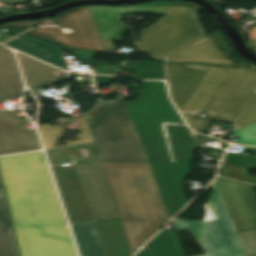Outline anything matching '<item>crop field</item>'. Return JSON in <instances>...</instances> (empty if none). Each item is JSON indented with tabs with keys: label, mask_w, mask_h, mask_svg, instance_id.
I'll use <instances>...</instances> for the list:
<instances>
[{
	"label": "crop field",
	"mask_w": 256,
	"mask_h": 256,
	"mask_svg": "<svg viewBox=\"0 0 256 256\" xmlns=\"http://www.w3.org/2000/svg\"><path fill=\"white\" fill-rule=\"evenodd\" d=\"M20 256H77L42 152L0 157Z\"/></svg>",
	"instance_id": "1"
},
{
	"label": "crop field",
	"mask_w": 256,
	"mask_h": 256,
	"mask_svg": "<svg viewBox=\"0 0 256 256\" xmlns=\"http://www.w3.org/2000/svg\"><path fill=\"white\" fill-rule=\"evenodd\" d=\"M136 125L170 218L185 204L183 182L191 172L194 132L167 99L163 82L144 81L139 102L125 101ZM132 120V121H133ZM166 123L174 161L163 128Z\"/></svg>",
	"instance_id": "2"
},
{
	"label": "crop field",
	"mask_w": 256,
	"mask_h": 256,
	"mask_svg": "<svg viewBox=\"0 0 256 256\" xmlns=\"http://www.w3.org/2000/svg\"><path fill=\"white\" fill-rule=\"evenodd\" d=\"M132 253L169 219L148 163H100Z\"/></svg>",
	"instance_id": "3"
},
{
	"label": "crop field",
	"mask_w": 256,
	"mask_h": 256,
	"mask_svg": "<svg viewBox=\"0 0 256 256\" xmlns=\"http://www.w3.org/2000/svg\"><path fill=\"white\" fill-rule=\"evenodd\" d=\"M75 163L52 167L71 223L119 217L98 159Z\"/></svg>",
	"instance_id": "4"
},
{
	"label": "crop field",
	"mask_w": 256,
	"mask_h": 256,
	"mask_svg": "<svg viewBox=\"0 0 256 256\" xmlns=\"http://www.w3.org/2000/svg\"><path fill=\"white\" fill-rule=\"evenodd\" d=\"M109 104L86 115L100 162H148L125 102Z\"/></svg>",
	"instance_id": "5"
},
{
	"label": "crop field",
	"mask_w": 256,
	"mask_h": 256,
	"mask_svg": "<svg viewBox=\"0 0 256 256\" xmlns=\"http://www.w3.org/2000/svg\"><path fill=\"white\" fill-rule=\"evenodd\" d=\"M201 9L190 2H171L162 19L140 34V49L152 57L167 60L176 49L205 37L198 20Z\"/></svg>",
	"instance_id": "6"
},
{
	"label": "crop field",
	"mask_w": 256,
	"mask_h": 256,
	"mask_svg": "<svg viewBox=\"0 0 256 256\" xmlns=\"http://www.w3.org/2000/svg\"><path fill=\"white\" fill-rule=\"evenodd\" d=\"M233 66L167 63L171 97L180 111L204 110Z\"/></svg>",
	"instance_id": "7"
},
{
	"label": "crop field",
	"mask_w": 256,
	"mask_h": 256,
	"mask_svg": "<svg viewBox=\"0 0 256 256\" xmlns=\"http://www.w3.org/2000/svg\"><path fill=\"white\" fill-rule=\"evenodd\" d=\"M207 205L216 216L212 221H172L175 230L191 229L209 256H245L218 186Z\"/></svg>",
	"instance_id": "8"
},
{
	"label": "crop field",
	"mask_w": 256,
	"mask_h": 256,
	"mask_svg": "<svg viewBox=\"0 0 256 256\" xmlns=\"http://www.w3.org/2000/svg\"><path fill=\"white\" fill-rule=\"evenodd\" d=\"M256 85V70L234 66L227 79L205 108L214 113L208 119H195L198 115L182 113L191 128L208 132L212 119L232 123Z\"/></svg>",
	"instance_id": "9"
},
{
	"label": "crop field",
	"mask_w": 256,
	"mask_h": 256,
	"mask_svg": "<svg viewBox=\"0 0 256 256\" xmlns=\"http://www.w3.org/2000/svg\"><path fill=\"white\" fill-rule=\"evenodd\" d=\"M54 21L62 26L41 27L23 35L47 41L71 53L70 47L105 52L88 6L78 7L58 14ZM72 30L70 33L64 32Z\"/></svg>",
	"instance_id": "10"
},
{
	"label": "crop field",
	"mask_w": 256,
	"mask_h": 256,
	"mask_svg": "<svg viewBox=\"0 0 256 256\" xmlns=\"http://www.w3.org/2000/svg\"><path fill=\"white\" fill-rule=\"evenodd\" d=\"M81 256H131L119 219L71 225Z\"/></svg>",
	"instance_id": "11"
},
{
	"label": "crop field",
	"mask_w": 256,
	"mask_h": 256,
	"mask_svg": "<svg viewBox=\"0 0 256 256\" xmlns=\"http://www.w3.org/2000/svg\"><path fill=\"white\" fill-rule=\"evenodd\" d=\"M237 233L256 230V202L252 186L217 178Z\"/></svg>",
	"instance_id": "12"
},
{
	"label": "crop field",
	"mask_w": 256,
	"mask_h": 256,
	"mask_svg": "<svg viewBox=\"0 0 256 256\" xmlns=\"http://www.w3.org/2000/svg\"><path fill=\"white\" fill-rule=\"evenodd\" d=\"M27 123L13 110H0V155L41 148L36 131L24 127Z\"/></svg>",
	"instance_id": "13"
},
{
	"label": "crop field",
	"mask_w": 256,
	"mask_h": 256,
	"mask_svg": "<svg viewBox=\"0 0 256 256\" xmlns=\"http://www.w3.org/2000/svg\"><path fill=\"white\" fill-rule=\"evenodd\" d=\"M170 61L177 63L234 65L221 54L208 37L177 50Z\"/></svg>",
	"instance_id": "14"
},
{
	"label": "crop field",
	"mask_w": 256,
	"mask_h": 256,
	"mask_svg": "<svg viewBox=\"0 0 256 256\" xmlns=\"http://www.w3.org/2000/svg\"><path fill=\"white\" fill-rule=\"evenodd\" d=\"M102 39L122 41L127 31L126 23L121 22L127 13L126 7L89 6Z\"/></svg>",
	"instance_id": "15"
},
{
	"label": "crop field",
	"mask_w": 256,
	"mask_h": 256,
	"mask_svg": "<svg viewBox=\"0 0 256 256\" xmlns=\"http://www.w3.org/2000/svg\"><path fill=\"white\" fill-rule=\"evenodd\" d=\"M22 94V79L13 53H0V102L20 98Z\"/></svg>",
	"instance_id": "16"
},
{
	"label": "crop field",
	"mask_w": 256,
	"mask_h": 256,
	"mask_svg": "<svg viewBox=\"0 0 256 256\" xmlns=\"http://www.w3.org/2000/svg\"><path fill=\"white\" fill-rule=\"evenodd\" d=\"M4 44L66 70L58 63L55 47L45 42L20 35Z\"/></svg>",
	"instance_id": "17"
},
{
	"label": "crop field",
	"mask_w": 256,
	"mask_h": 256,
	"mask_svg": "<svg viewBox=\"0 0 256 256\" xmlns=\"http://www.w3.org/2000/svg\"><path fill=\"white\" fill-rule=\"evenodd\" d=\"M0 256H18L2 186H0Z\"/></svg>",
	"instance_id": "18"
},
{
	"label": "crop field",
	"mask_w": 256,
	"mask_h": 256,
	"mask_svg": "<svg viewBox=\"0 0 256 256\" xmlns=\"http://www.w3.org/2000/svg\"><path fill=\"white\" fill-rule=\"evenodd\" d=\"M146 247L184 254L175 232L162 230Z\"/></svg>",
	"instance_id": "19"
},
{
	"label": "crop field",
	"mask_w": 256,
	"mask_h": 256,
	"mask_svg": "<svg viewBox=\"0 0 256 256\" xmlns=\"http://www.w3.org/2000/svg\"><path fill=\"white\" fill-rule=\"evenodd\" d=\"M256 122V93L252 92L249 99L241 109L240 113L234 120L236 125L233 131L248 126ZM232 131V132H233Z\"/></svg>",
	"instance_id": "20"
},
{
	"label": "crop field",
	"mask_w": 256,
	"mask_h": 256,
	"mask_svg": "<svg viewBox=\"0 0 256 256\" xmlns=\"http://www.w3.org/2000/svg\"><path fill=\"white\" fill-rule=\"evenodd\" d=\"M169 1H155L139 4L137 6H128V13H157L163 15L169 5Z\"/></svg>",
	"instance_id": "21"
},
{
	"label": "crop field",
	"mask_w": 256,
	"mask_h": 256,
	"mask_svg": "<svg viewBox=\"0 0 256 256\" xmlns=\"http://www.w3.org/2000/svg\"><path fill=\"white\" fill-rule=\"evenodd\" d=\"M221 175L224 177H229L236 180L256 184V178L248 175L247 170L229 166L225 158L223 160L222 167H221Z\"/></svg>",
	"instance_id": "22"
},
{
	"label": "crop field",
	"mask_w": 256,
	"mask_h": 256,
	"mask_svg": "<svg viewBox=\"0 0 256 256\" xmlns=\"http://www.w3.org/2000/svg\"><path fill=\"white\" fill-rule=\"evenodd\" d=\"M246 256L256 255V231L237 234Z\"/></svg>",
	"instance_id": "23"
},
{
	"label": "crop field",
	"mask_w": 256,
	"mask_h": 256,
	"mask_svg": "<svg viewBox=\"0 0 256 256\" xmlns=\"http://www.w3.org/2000/svg\"><path fill=\"white\" fill-rule=\"evenodd\" d=\"M233 134L240 137L235 143L256 146V123L235 131Z\"/></svg>",
	"instance_id": "24"
},
{
	"label": "crop field",
	"mask_w": 256,
	"mask_h": 256,
	"mask_svg": "<svg viewBox=\"0 0 256 256\" xmlns=\"http://www.w3.org/2000/svg\"><path fill=\"white\" fill-rule=\"evenodd\" d=\"M225 157L230 165L247 169V170L253 158L250 156H242L237 154H226Z\"/></svg>",
	"instance_id": "25"
},
{
	"label": "crop field",
	"mask_w": 256,
	"mask_h": 256,
	"mask_svg": "<svg viewBox=\"0 0 256 256\" xmlns=\"http://www.w3.org/2000/svg\"><path fill=\"white\" fill-rule=\"evenodd\" d=\"M0 27L6 28L16 33H20L22 31L32 28V25L28 21H21V22L7 23Z\"/></svg>",
	"instance_id": "26"
},
{
	"label": "crop field",
	"mask_w": 256,
	"mask_h": 256,
	"mask_svg": "<svg viewBox=\"0 0 256 256\" xmlns=\"http://www.w3.org/2000/svg\"><path fill=\"white\" fill-rule=\"evenodd\" d=\"M136 256H184V255L144 247Z\"/></svg>",
	"instance_id": "27"
},
{
	"label": "crop field",
	"mask_w": 256,
	"mask_h": 256,
	"mask_svg": "<svg viewBox=\"0 0 256 256\" xmlns=\"http://www.w3.org/2000/svg\"><path fill=\"white\" fill-rule=\"evenodd\" d=\"M0 1L7 5H18V4L26 3L25 0H0Z\"/></svg>",
	"instance_id": "28"
},
{
	"label": "crop field",
	"mask_w": 256,
	"mask_h": 256,
	"mask_svg": "<svg viewBox=\"0 0 256 256\" xmlns=\"http://www.w3.org/2000/svg\"><path fill=\"white\" fill-rule=\"evenodd\" d=\"M215 216L212 214V212L210 211V209L207 206V216H206V220H212L214 219Z\"/></svg>",
	"instance_id": "29"
},
{
	"label": "crop field",
	"mask_w": 256,
	"mask_h": 256,
	"mask_svg": "<svg viewBox=\"0 0 256 256\" xmlns=\"http://www.w3.org/2000/svg\"><path fill=\"white\" fill-rule=\"evenodd\" d=\"M56 49H57V54H58V60H59V62L62 63V64H64V61H63V59H62V56H61V53H60L59 49H58V48H56ZM64 65H65V64H64Z\"/></svg>",
	"instance_id": "30"
},
{
	"label": "crop field",
	"mask_w": 256,
	"mask_h": 256,
	"mask_svg": "<svg viewBox=\"0 0 256 256\" xmlns=\"http://www.w3.org/2000/svg\"><path fill=\"white\" fill-rule=\"evenodd\" d=\"M245 151L256 154V149L255 148H246Z\"/></svg>",
	"instance_id": "31"
},
{
	"label": "crop field",
	"mask_w": 256,
	"mask_h": 256,
	"mask_svg": "<svg viewBox=\"0 0 256 256\" xmlns=\"http://www.w3.org/2000/svg\"><path fill=\"white\" fill-rule=\"evenodd\" d=\"M3 51H8V49H6V48L0 46V52H3Z\"/></svg>",
	"instance_id": "32"
},
{
	"label": "crop field",
	"mask_w": 256,
	"mask_h": 256,
	"mask_svg": "<svg viewBox=\"0 0 256 256\" xmlns=\"http://www.w3.org/2000/svg\"><path fill=\"white\" fill-rule=\"evenodd\" d=\"M217 185V181L215 180V182L213 183V188Z\"/></svg>",
	"instance_id": "33"
},
{
	"label": "crop field",
	"mask_w": 256,
	"mask_h": 256,
	"mask_svg": "<svg viewBox=\"0 0 256 256\" xmlns=\"http://www.w3.org/2000/svg\"><path fill=\"white\" fill-rule=\"evenodd\" d=\"M201 111L195 110L194 113L200 114Z\"/></svg>",
	"instance_id": "34"
},
{
	"label": "crop field",
	"mask_w": 256,
	"mask_h": 256,
	"mask_svg": "<svg viewBox=\"0 0 256 256\" xmlns=\"http://www.w3.org/2000/svg\"><path fill=\"white\" fill-rule=\"evenodd\" d=\"M221 145H226V146H228V144H227V143H225V142H223Z\"/></svg>",
	"instance_id": "35"
},
{
	"label": "crop field",
	"mask_w": 256,
	"mask_h": 256,
	"mask_svg": "<svg viewBox=\"0 0 256 256\" xmlns=\"http://www.w3.org/2000/svg\"><path fill=\"white\" fill-rule=\"evenodd\" d=\"M0 184H3V183H2V180H1V176H0Z\"/></svg>",
	"instance_id": "36"
},
{
	"label": "crop field",
	"mask_w": 256,
	"mask_h": 256,
	"mask_svg": "<svg viewBox=\"0 0 256 256\" xmlns=\"http://www.w3.org/2000/svg\"><path fill=\"white\" fill-rule=\"evenodd\" d=\"M165 128V127H164ZM165 132H166V129H165ZM166 135H167V133H166ZM167 139H168V137H167ZM169 142V141H168ZM170 146V145H169ZM171 150V149H170ZM172 154V153H171Z\"/></svg>",
	"instance_id": "37"
},
{
	"label": "crop field",
	"mask_w": 256,
	"mask_h": 256,
	"mask_svg": "<svg viewBox=\"0 0 256 256\" xmlns=\"http://www.w3.org/2000/svg\"><path fill=\"white\" fill-rule=\"evenodd\" d=\"M254 92H256V87H255V89H254Z\"/></svg>",
	"instance_id": "38"
},
{
	"label": "crop field",
	"mask_w": 256,
	"mask_h": 256,
	"mask_svg": "<svg viewBox=\"0 0 256 256\" xmlns=\"http://www.w3.org/2000/svg\"><path fill=\"white\" fill-rule=\"evenodd\" d=\"M254 51L256 52V49H254Z\"/></svg>",
	"instance_id": "39"
},
{
	"label": "crop field",
	"mask_w": 256,
	"mask_h": 256,
	"mask_svg": "<svg viewBox=\"0 0 256 256\" xmlns=\"http://www.w3.org/2000/svg\"><path fill=\"white\" fill-rule=\"evenodd\" d=\"M255 10H256V9H255ZM254 13H256V11H255Z\"/></svg>",
	"instance_id": "40"
}]
</instances>
